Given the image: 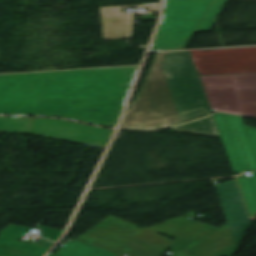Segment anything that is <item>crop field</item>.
Segmentation results:
<instances>
[{
    "label": "crop field",
    "mask_w": 256,
    "mask_h": 256,
    "mask_svg": "<svg viewBox=\"0 0 256 256\" xmlns=\"http://www.w3.org/2000/svg\"><path fill=\"white\" fill-rule=\"evenodd\" d=\"M31 118L0 117V132L29 133Z\"/></svg>",
    "instance_id": "crop-field-12"
},
{
    "label": "crop field",
    "mask_w": 256,
    "mask_h": 256,
    "mask_svg": "<svg viewBox=\"0 0 256 256\" xmlns=\"http://www.w3.org/2000/svg\"><path fill=\"white\" fill-rule=\"evenodd\" d=\"M173 129L174 131H182L188 133L220 137L213 116L192 123H188L182 126L174 127Z\"/></svg>",
    "instance_id": "crop-field-11"
},
{
    "label": "crop field",
    "mask_w": 256,
    "mask_h": 256,
    "mask_svg": "<svg viewBox=\"0 0 256 256\" xmlns=\"http://www.w3.org/2000/svg\"><path fill=\"white\" fill-rule=\"evenodd\" d=\"M215 186L236 242L243 227L251 223L237 181Z\"/></svg>",
    "instance_id": "crop-field-8"
},
{
    "label": "crop field",
    "mask_w": 256,
    "mask_h": 256,
    "mask_svg": "<svg viewBox=\"0 0 256 256\" xmlns=\"http://www.w3.org/2000/svg\"><path fill=\"white\" fill-rule=\"evenodd\" d=\"M140 229L109 217L75 239V241L116 253Z\"/></svg>",
    "instance_id": "crop-field-7"
},
{
    "label": "crop field",
    "mask_w": 256,
    "mask_h": 256,
    "mask_svg": "<svg viewBox=\"0 0 256 256\" xmlns=\"http://www.w3.org/2000/svg\"><path fill=\"white\" fill-rule=\"evenodd\" d=\"M166 76H171V80H166ZM210 113L190 53H159L121 128L159 129Z\"/></svg>",
    "instance_id": "crop-field-2"
},
{
    "label": "crop field",
    "mask_w": 256,
    "mask_h": 256,
    "mask_svg": "<svg viewBox=\"0 0 256 256\" xmlns=\"http://www.w3.org/2000/svg\"><path fill=\"white\" fill-rule=\"evenodd\" d=\"M227 0H164L150 51L185 49L194 32L210 31Z\"/></svg>",
    "instance_id": "crop-field-3"
},
{
    "label": "crop field",
    "mask_w": 256,
    "mask_h": 256,
    "mask_svg": "<svg viewBox=\"0 0 256 256\" xmlns=\"http://www.w3.org/2000/svg\"><path fill=\"white\" fill-rule=\"evenodd\" d=\"M115 253L88 246L71 240L59 248L55 256H114Z\"/></svg>",
    "instance_id": "crop-field-10"
},
{
    "label": "crop field",
    "mask_w": 256,
    "mask_h": 256,
    "mask_svg": "<svg viewBox=\"0 0 256 256\" xmlns=\"http://www.w3.org/2000/svg\"><path fill=\"white\" fill-rule=\"evenodd\" d=\"M137 68L0 75V114L52 116L112 127Z\"/></svg>",
    "instance_id": "crop-field-1"
},
{
    "label": "crop field",
    "mask_w": 256,
    "mask_h": 256,
    "mask_svg": "<svg viewBox=\"0 0 256 256\" xmlns=\"http://www.w3.org/2000/svg\"><path fill=\"white\" fill-rule=\"evenodd\" d=\"M29 230L12 224L5 227L0 232V256H43L48 248L15 241Z\"/></svg>",
    "instance_id": "crop-field-9"
},
{
    "label": "crop field",
    "mask_w": 256,
    "mask_h": 256,
    "mask_svg": "<svg viewBox=\"0 0 256 256\" xmlns=\"http://www.w3.org/2000/svg\"><path fill=\"white\" fill-rule=\"evenodd\" d=\"M30 133L104 149L112 131L63 120L34 118Z\"/></svg>",
    "instance_id": "crop-field-6"
},
{
    "label": "crop field",
    "mask_w": 256,
    "mask_h": 256,
    "mask_svg": "<svg viewBox=\"0 0 256 256\" xmlns=\"http://www.w3.org/2000/svg\"><path fill=\"white\" fill-rule=\"evenodd\" d=\"M199 78L211 110L256 117V74Z\"/></svg>",
    "instance_id": "crop-field-5"
},
{
    "label": "crop field",
    "mask_w": 256,
    "mask_h": 256,
    "mask_svg": "<svg viewBox=\"0 0 256 256\" xmlns=\"http://www.w3.org/2000/svg\"><path fill=\"white\" fill-rule=\"evenodd\" d=\"M233 172L251 170L252 177H237L251 219L256 215V129L243 126L239 116L214 114Z\"/></svg>",
    "instance_id": "crop-field-4"
}]
</instances>
